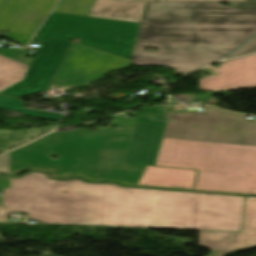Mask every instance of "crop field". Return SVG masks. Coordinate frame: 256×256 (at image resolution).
Here are the masks:
<instances>
[{"label": "crop field", "instance_id": "8a807250", "mask_svg": "<svg viewBox=\"0 0 256 256\" xmlns=\"http://www.w3.org/2000/svg\"><path fill=\"white\" fill-rule=\"evenodd\" d=\"M67 191V193H61ZM245 197L60 181L31 172L11 179L2 204L52 224L240 232Z\"/></svg>", "mask_w": 256, "mask_h": 256}, {"label": "crop field", "instance_id": "ac0d7876", "mask_svg": "<svg viewBox=\"0 0 256 256\" xmlns=\"http://www.w3.org/2000/svg\"><path fill=\"white\" fill-rule=\"evenodd\" d=\"M229 5L147 3L131 63L184 74L227 55L256 33V0Z\"/></svg>", "mask_w": 256, "mask_h": 256}, {"label": "crop field", "instance_id": "34b2d1b8", "mask_svg": "<svg viewBox=\"0 0 256 256\" xmlns=\"http://www.w3.org/2000/svg\"><path fill=\"white\" fill-rule=\"evenodd\" d=\"M205 108L168 112L155 166L198 170L194 190L256 195V120Z\"/></svg>", "mask_w": 256, "mask_h": 256}, {"label": "crop field", "instance_id": "412701ff", "mask_svg": "<svg viewBox=\"0 0 256 256\" xmlns=\"http://www.w3.org/2000/svg\"><path fill=\"white\" fill-rule=\"evenodd\" d=\"M130 137L88 130L49 134L10 152V174L35 169L50 171L55 178L135 186L145 166L123 164ZM54 156L58 160H52Z\"/></svg>", "mask_w": 256, "mask_h": 256}, {"label": "crop field", "instance_id": "f4fd0767", "mask_svg": "<svg viewBox=\"0 0 256 256\" xmlns=\"http://www.w3.org/2000/svg\"><path fill=\"white\" fill-rule=\"evenodd\" d=\"M139 25L122 21L51 13L37 35L68 40L127 59L132 58Z\"/></svg>", "mask_w": 256, "mask_h": 256}, {"label": "crop field", "instance_id": "dd49c442", "mask_svg": "<svg viewBox=\"0 0 256 256\" xmlns=\"http://www.w3.org/2000/svg\"><path fill=\"white\" fill-rule=\"evenodd\" d=\"M165 124L137 117L124 163L147 165L137 186L193 190L197 171L154 167Z\"/></svg>", "mask_w": 256, "mask_h": 256}, {"label": "crop field", "instance_id": "e52e79f7", "mask_svg": "<svg viewBox=\"0 0 256 256\" xmlns=\"http://www.w3.org/2000/svg\"><path fill=\"white\" fill-rule=\"evenodd\" d=\"M33 41L43 42L30 63L40 70L0 91V94L19 98L45 91L73 43L38 36Z\"/></svg>", "mask_w": 256, "mask_h": 256}, {"label": "crop field", "instance_id": "d8731c3e", "mask_svg": "<svg viewBox=\"0 0 256 256\" xmlns=\"http://www.w3.org/2000/svg\"><path fill=\"white\" fill-rule=\"evenodd\" d=\"M199 245L213 249L208 256H225L230 251L256 245V198L246 197L241 233L199 231Z\"/></svg>", "mask_w": 256, "mask_h": 256}, {"label": "crop field", "instance_id": "5a996713", "mask_svg": "<svg viewBox=\"0 0 256 256\" xmlns=\"http://www.w3.org/2000/svg\"><path fill=\"white\" fill-rule=\"evenodd\" d=\"M209 68L221 74L201 79V90L256 87V54L223 62L217 68Z\"/></svg>", "mask_w": 256, "mask_h": 256}, {"label": "crop field", "instance_id": "3316defc", "mask_svg": "<svg viewBox=\"0 0 256 256\" xmlns=\"http://www.w3.org/2000/svg\"><path fill=\"white\" fill-rule=\"evenodd\" d=\"M246 0H158L157 2H244ZM146 2L155 0H96L89 16L140 23Z\"/></svg>", "mask_w": 256, "mask_h": 256}, {"label": "crop field", "instance_id": "28ad6ade", "mask_svg": "<svg viewBox=\"0 0 256 256\" xmlns=\"http://www.w3.org/2000/svg\"><path fill=\"white\" fill-rule=\"evenodd\" d=\"M27 66L0 56V90L22 79Z\"/></svg>", "mask_w": 256, "mask_h": 256}, {"label": "crop field", "instance_id": "d1516ede", "mask_svg": "<svg viewBox=\"0 0 256 256\" xmlns=\"http://www.w3.org/2000/svg\"><path fill=\"white\" fill-rule=\"evenodd\" d=\"M0 109L18 111V112H22L24 115H28L36 118H42V119H50V120H59L63 116L60 114L49 113V112H44L39 110L24 109L23 102L21 100L6 97L3 95H0Z\"/></svg>", "mask_w": 256, "mask_h": 256}, {"label": "crop field", "instance_id": "22f410ed", "mask_svg": "<svg viewBox=\"0 0 256 256\" xmlns=\"http://www.w3.org/2000/svg\"><path fill=\"white\" fill-rule=\"evenodd\" d=\"M134 122L135 121L132 120L113 118L111 126H118L120 127L119 130L111 128V126H109L107 129H99L98 131L131 135Z\"/></svg>", "mask_w": 256, "mask_h": 256}, {"label": "crop field", "instance_id": "cbeb9de0", "mask_svg": "<svg viewBox=\"0 0 256 256\" xmlns=\"http://www.w3.org/2000/svg\"><path fill=\"white\" fill-rule=\"evenodd\" d=\"M252 52H256V37L251 39L249 42H247L245 45H243L239 50H237L235 53L228 56L227 58L235 57V56H239V55H243V54H248V53H252Z\"/></svg>", "mask_w": 256, "mask_h": 256}, {"label": "crop field", "instance_id": "5142ce71", "mask_svg": "<svg viewBox=\"0 0 256 256\" xmlns=\"http://www.w3.org/2000/svg\"><path fill=\"white\" fill-rule=\"evenodd\" d=\"M0 173L9 174V153L0 156Z\"/></svg>", "mask_w": 256, "mask_h": 256}, {"label": "crop field", "instance_id": "d9b57169", "mask_svg": "<svg viewBox=\"0 0 256 256\" xmlns=\"http://www.w3.org/2000/svg\"><path fill=\"white\" fill-rule=\"evenodd\" d=\"M8 212L0 204V221H7Z\"/></svg>", "mask_w": 256, "mask_h": 256}, {"label": "crop field", "instance_id": "733c2abd", "mask_svg": "<svg viewBox=\"0 0 256 256\" xmlns=\"http://www.w3.org/2000/svg\"><path fill=\"white\" fill-rule=\"evenodd\" d=\"M81 81H84V80L81 78H78V79H74V81H71V82L62 81V82L54 83V85H70V84H74V83H79Z\"/></svg>", "mask_w": 256, "mask_h": 256}, {"label": "crop field", "instance_id": "4a817a6b", "mask_svg": "<svg viewBox=\"0 0 256 256\" xmlns=\"http://www.w3.org/2000/svg\"><path fill=\"white\" fill-rule=\"evenodd\" d=\"M9 180L6 178H0V187H9Z\"/></svg>", "mask_w": 256, "mask_h": 256}, {"label": "crop field", "instance_id": "bc2a9ffb", "mask_svg": "<svg viewBox=\"0 0 256 256\" xmlns=\"http://www.w3.org/2000/svg\"><path fill=\"white\" fill-rule=\"evenodd\" d=\"M37 70L38 69H35V68L29 66L23 78H25L26 76L32 74L33 72H35Z\"/></svg>", "mask_w": 256, "mask_h": 256}]
</instances>
